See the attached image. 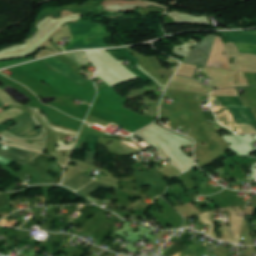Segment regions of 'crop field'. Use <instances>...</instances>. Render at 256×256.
Masks as SVG:
<instances>
[{
    "label": "crop field",
    "mask_w": 256,
    "mask_h": 256,
    "mask_svg": "<svg viewBox=\"0 0 256 256\" xmlns=\"http://www.w3.org/2000/svg\"><path fill=\"white\" fill-rule=\"evenodd\" d=\"M1 106H4V105H3V103L0 101V107H1Z\"/></svg>",
    "instance_id": "d9b57169"
},
{
    "label": "crop field",
    "mask_w": 256,
    "mask_h": 256,
    "mask_svg": "<svg viewBox=\"0 0 256 256\" xmlns=\"http://www.w3.org/2000/svg\"><path fill=\"white\" fill-rule=\"evenodd\" d=\"M98 186H102L105 188L110 189V186H106V185H102V184H98V183H90L89 185L85 186L84 188H82L81 190L77 191V193L85 198L86 196H88L91 192L95 191L96 189H98Z\"/></svg>",
    "instance_id": "3316defc"
},
{
    "label": "crop field",
    "mask_w": 256,
    "mask_h": 256,
    "mask_svg": "<svg viewBox=\"0 0 256 256\" xmlns=\"http://www.w3.org/2000/svg\"><path fill=\"white\" fill-rule=\"evenodd\" d=\"M31 60L32 59H23V60L11 61V62H3V63H0V68L12 66L15 64H19V63H23V62H27V61H31Z\"/></svg>",
    "instance_id": "28ad6ade"
},
{
    "label": "crop field",
    "mask_w": 256,
    "mask_h": 256,
    "mask_svg": "<svg viewBox=\"0 0 256 256\" xmlns=\"http://www.w3.org/2000/svg\"><path fill=\"white\" fill-rule=\"evenodd\" d=\"M231 42H240V43H248V44H256V36L253 35H241V34H230L226 33ZM240 53H250V54H256V45H248V44H239L234 43ZM253 47L254 49H250Z\"/></svg>",
    "instance_id": "34b2d1b8"
},
{
    "label": "crop field",
    "mask_w": 256,
    "mask_h": 256,
    "mask_svg": "<svg viewBox=\"0 0 256 256\" xmlns=\"http://www.w3.org/2000/svg\"><path fill=\"white\" fill-rule=\"evenodd\" d=\"M72 35L65 51L72 49H88L95 47H109L103 41L108 37L103 26L94 23L90 25L67 24L65 27Z\"/></svg>",
    "instance_id": "ac0d7876"
},
{
    "label": "crop field",
    "mask_w": 256,
    "mask_h": 256,
    "mask_svg": "<svg viewBox=\"0 0 256 256\" xmlns=\"http://www.w3.org/2000/svg\"><path fill=\"white\" fill-rule=\"evenodd\" d=\"M112 57H114L115 59H117L119 61L120 57L123 56L127 59L130 60L131 65L127 66V68L132 71L134 74L138 75L139 77H141L143 80L149 81L151 83H153L155 85V87H158L153 80H151L150 78H148L146 75H144L142 72H140L138 69L137 70H132L130 67L131 66H136V63L131 60L129 57H127L123 52H121L119 49L117 50H106Z\"/></svg>",
    "instance_id": "d8731c3e"
},
{
    "label": "crop field",
    "mask_w": 256,
    "mask_h": 256,
    "mask_svg": "<svg viewBox=\"0 0 256 256\" xmlns=\"http://www.w3.org/2000/svg\"><path fill=\"white\" fill-rule=\"evenodd\" d=\"M215 37L216 36H207L191 51L184 63L205 66ZM223 52L226 51L222 45V39L217 36L206 66L229 70L228 56L227 53L226 55H222ZM200 53H202V56H199Z\"/></svg>",
    "instance_id": "8a807250"
},
{
    "label": "crop field",
    "mask_w": 256,
    "mask_h": 256,
    "mask_svg": "<svg viewBox=\"0 0 256 256\" xmlns=\"http://www.w3.org/2000/svg\"><path fill=\"white\" fill-rule=\"evenodd\" d=\"M31 121H33L32 118H29V119L19 123L18 125L14 126L12 129H10L8 131L13 133ZM36 127L37 126L34 124V122H31L28 125H26L25 127L21 128L20 130L15 132L14 134H16L18 137H35L42 132L41 129L36 130L35 129Z\"/></svg>",
    "instance_id": "412701ff"
},
{
    "label": "crop field",
    "mask_w": 256,
    "mask_h": 256,
    "mask_svg": "<svg viewBox=\"0 0 256 256\" xmlns=\"http://www.w3.org/2000/svg\"><path fill=\"white\" fill-rule=\"evenodd\" d=\"M231 33H242V34H254V35H256V31H233Z\"/></svg>",
    "instance_id": "5142ce71"
},
{
    "label": "crop field",
    "mask_w": 256,
    "mask_h": 256,
    "mask_svg": "<svg viewBox=\"0 0 256 256\" xmlns=\"http://www.w3.org/2000/svg\"><path fill=\"white\" fill-rule=\"evenodd\" d=\"M0 155L20 164L27 163L34 157V154L12 147L11 150L6 153L0 150Z\"/></svg>",
    "instance_id": "dd49c442"
},
{
    "label": "crop field",
    "mask_w": 256,
    "mask_h": 256,
    "mask_svg": "<svg viewBox=\"0 0 256 256\" xmlns=\"http://www.w3.org/2000/svg\"><path fill=\"white\" fill-rule=\"evenodd\" d=\"M120 50L123 51L130 58H132L134 61L138 62V60L129 51H127L125 48H121Z\"/></svg>",
    "instance_id": "cbeb9de0"
},
{
    "label": "crop field",
    "mask_w": 256,
    "mask_h": 256,
    "mask_svg": "<svg viewBox=\"0 0 256 256\" xmlns=\"http://www.w3.org/2000/svg\"><path fill=\"white\" fill-rule=\"evenodd\" d=\"M91 181H93V179L89 178L88 176H86L85 174H83L81 172L76 177H74L72 180L65 183L64 185H66L76 191Z\"/></svg>",
    "instance_id": "5a996713"
},
{
    "label": "crop field",
    "mask_w": 256,
    "mask_h": 256,
    "mask_svg": "<svg viewBox=\"0 0 256 256\" xmlns=\"http://www.w3.org/2000/svg\"><path fill=\"white\" fill-rule=\"evenodd\" d=\"M0 112H2V109H1V108H0ZM22 112H24V111H22V110H20V109H16V108H13V109H11V110L4 111V112L0 113V123H2V122H4V121H6V120H8V119H10V118H12V117L18 115V114H20V113H22ZM28 117H30V115L25 112V113H23V114H21V115L15 117V118H13L14 121H12L10 124H8V125L5 126V127H4L2 124H0V130L3 131V130H5L7 127H9L10 125H12L13 123H15V122L19 123V122H21L22 120H24V119H26V118H28Z\"/></svg>",
    "instance_id": "e52e79f7"
},
{
    "label": "crop field",
    "mask_w": 256,
    "mask_h": 256,
    "mask_svg": "<svg viewBox=\"0 0 256 256\" xmlns=\"http://www.w3.org/2000/svg\"><path fill=\"white\" fill-rule=\"evenodd\" d=\"M50 59H52L53 61H55L56 63L60 64L61 66H63L64 68L68 69L69 71H71V67L67 66L66 64L62 63L61 61L50 57ZM50 59H44L41 60L44 63H46L48 66H50L51 68H53L54 70H56L57 72L61 73L62 75H64L65 77L81 84L86 82L85 80L79 78L78 76L72 74L71 72L67 71L66 69H64L63 67L59 66L58 64H56L55 62L51 61Z\"/></svg>",
    "instance_id": "f4fd0767"
},
{
    "label": "crop field",
    "mask_w": 256,
    "mask_h": 256,
    "mask_svg": "<svg viewBox=\"0 0 256 256\" xmlns=\"http://www.w3.org/2000/svg\"><path fill=\"white\" fill-rule=\"evenodd\" d=\"M85 162L96 167V165H95V153L86 152V161Z\"/></svg>",
    "instance_id": "d1516ede"
},
{
    "label": "crop field",
    "mask_w": 256,
    "mask_h": 256,
    "mask_svg": "<svg viewBox=\"0 0 256 256\" xmlns=\"http://www.w3.org/2000/svg\"><path fill=\"white\" fill-rule=\"evenodd\" d=\"M87 134L81 133L74 149H81Z\"/></svg>",
    "instance_id": "22f410ed"
}]
</instances>
